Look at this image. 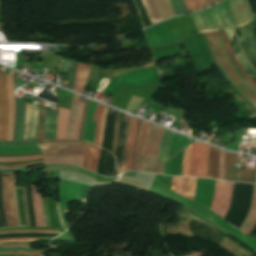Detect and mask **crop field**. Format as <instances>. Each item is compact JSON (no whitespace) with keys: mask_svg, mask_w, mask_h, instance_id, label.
I'll return each instance as SVG.
<instances>
[{"mask_svg":"<svg viewBox=\"0 0 256 256\" xmlns=\"http://www.w3.org/2000/svg\"><path fill=\"white\" fill-rule=\"evenodd\" d=\"M32 204L36 227H46L41 196L35 192L34 185H32Z\"/></svg>","mask_w":256,"mask_h":256,"instance_id":"obj_13","label":"crop field"},{"mask_svg":"<svg viewBox=\"0 0 256 256\" xmlns=\"http://www.w3.org/2000/svg\"><path fill=\"white\" fill-rule=\"evenodd\" d=\"M2 200L8 227H17L11 197V172L2 173Z\"/></svg>","mask_w":256,"mask_h":256,"instance_id":"obj_9","label":"crop field"},{"mask_svg":"<svg viewBox=\"0 0 256 256\" xmlns=\"http://www.w3.org/2000/svg\"><path fill=\"white\" fill-rule=\"evenodd\" d=\"M246 29H247V31H248V34H249V36H250V39H251L252 44H253V46H254V49H255V51H256V40H255V37H254V35H253L252 29H251L250 26L247 27Z\"/></svg>","mask_w":256,"mask_h":256,"instance_id":"obj_39","label":"crop field"},{"mask_svg":"<svg viewBox=\"0 0 256 256\" xmlns=\"http://www.w3.org/2000/svg\"><path fill=\"white\" fill-rule=\"evenodd\" d=\"M15 174H16V172L13 173V179H12L13 206H14L15 216H16V220H17V225H18V227H21L20 220H19V214H18V208H17V201H16Z\"/></svg>","mask_w":256,"mask_h":256,"instance_id":"obj_28","label":"crop field"},{"mask_svg":"<svg viewBox=\"0 0 256 256\" xmlns=\"http://www.w3.org/2000/svg\"><path fill=\"white\" fill-rule=\"evenodd\" d=\"M162 130L163 129L160 127L152 124L150 125L142 168L157 164L159 142Z\"/></svg>","mask_w":256,"mask_h":256,"instance_id":"obj_7","label":"crop field"},{"mask_svg":"<svg viewBox=\"0 0 256 256\" xmlns=\"http://www.w3.org/2000/svg\"><path fill=\"white\" fill-rule=\"evenodd\" d=\"M40 160H42V159H40ZM40 160H34V161H40ZM34 161L14 162V163H0V165H14V164H20V163L34 162Z\"/></svg>","mask_w":256,"mask_h":256,"instance_id":"obj_43","label":"crop field"},{"mask_svg":"<svg viewBox=\"0 0 256 256\" xmlns=\"http://www.w3.org/2000/svg\"><path fill=\"white\" fill-rule=\"evenodd\" d=\"M189 139L183 136H180L176 133L172 134L171 142H170V150H169V157L175 154L177 151L183 149L184 147L188 146Z\"/></svg>","mask_w":256,"mask_h":256,"instance_id":"obj_22","label":"crop field"},{"mask_svg":"<svg viewBox=\"0 0 256 256\" xmlns=\"http://www.w3.org/2000/svg\"><path fill=\"white\" fill-rule=\"evenodd\" d=\"M215 1H217V0H206V3L209 6L210 4L214 3Z\"/></svg>","mask_w":256,"mask_h":256,"instance_id":"obj_52","label":"crop field"},{"mask_svg":"<svg viewBox=\"0 0 256 256\" xmlns=\"http://www.w3.org/2000/svg\"><path fill=\"white\" fill-rule=\"evenodd\" d=\"M87 185H82L78 183L68 182L60 179L59 185V197H60V206H61V213L63 217V221L65 227L67 229L68 225L64 218L63 210L67 207V202L84 199V194L88 190Z\"/></svg>","mask_w":256,"mask_h":256,"instance_id":"obj_5","label":"crop field"},{"mask_svg":"<svg viewBox=\"0 0 256 256\" xmlns=\"http://www.w3.org/2000/svg\"><path fill=\"white\" fill-rule=\"evenodd\" d=\"M103 109H104V106L98 104L96 111L94 113L93 120H97L95 142H94L95 145H97V142H98V135H99V129H100V123H101V118H102V114H103Z\"/></svg>","mask_w":256,"mask_h":256,"instance_id":"obj_25","label":"crop field"},{"mask_svg":"<svg viewBox=\"0 0 256 256\" xmlns=\"http://www.w3.org/2000/svg\"><path fill=\"white\" fill-rule=\"evenodd\" d=\"M96 106H97V104L95 103L94 106H93L92 112H91V114H90L89 120H92L93 113H94V111H95Z\"/></svg>","mask_w":256,"mask_h":256,"instance_id":"obj_49","label":"crop field"},{"mask_svg":"<svg viewBox=\"0 0 256 256\" xmlns=\"http://www.w3.org/2000/svg\"><path fill=\"white\" fill-rule=\"evenodd\" d=\"M0 254H42V253H0Z\"/></svg>","mask_w":256,"mask_h":256,"instance_id":"obj_50","label":"crop field"},{"mask_svg":"<svg viewBox=\"0 0 256 256\" xmlns=\"http://www.w3.org/2000/svg\"><path fill=\"white\" fill-rule=\"evenodd\" d=\"M16 240H38V239H16ZM16 240H4V241H16ZM3 242V241H0Z\"/></svg>","mask_w":256,"mask_h":256,"instance_id":"obj_53","label":"crop field"},{"mask_svg":"<svg viewBox=\"0 0 256 256\" xmlns=\"http://www.w3.org/2000/svg\"><path fill=\"white\" fill-rule=\"evenodd\" d=\"M22 196H23V203H24V209H25L26 225L30 226V219L28 216V207H27V200H26V186L22 187Z\"/></svg>","mask_w":256,"mask_h":256,"instance_id":"obj_33","label":"crop field"},{"mask_svg":"<svg viewBox=\"0 0 256 256\" xmlns=\"http://www.w3.org/2000/svg\"><path fill=\"white\" fill-rule=\"evenodd\" d=\"M163 168H164V162L159 164V165L144 168V169L139 170V171H148V172L163 174Z\"/></svg>","mask_w":256,"mask_h":256,"instance_id":"obj_35","label":"crop field"},{"mask_svg":"<svg viewBox=\"0 0 256 256\" xmlns=\"http://www.w3.org/2000/svg\"><path fill=\"white\" fill-rule=\"evenodd\" d=\"M42 152L39 147H0V154H27Z\"/></svg>","mask_w":256,"mask_h":256,"instance_id":"obj_24","label":"crop field"},{"mask_svg":"<svg viewBox=\"0 0 256 256\" xmlns=\"http://www.w3.org/2000/svg\"><path fill=\"white\" fill-rule=\"evenodd\" d=\"M187 149H185V152H184V158H183V166H182V174L181 176H184V166H185V159H186V154H187Z\"/></svg>","mask_w":256,"mask_h":256,"instance_id":"obj_45","label":"crop field"},{"mask_svg":"<svg viewBox=\"0 0 256 256\" xmlns=\"http://www.w3.org/2000/svg\"><path fill=\"white\" fill-rule=\"evenodd\" d=\"M18 242H34V241H18ZM3 243H15V242H3Z\"/></svg>","mask_w":256,"mask_h":256,"instance_id":"obj_56","label":"crop field"},{"mask_svg":"<svg viewBox=\"0 0 256 256\" xmlns=\"http://www.w3.org/2000/svg\"><path fill=\"white\" fill-rule=\"evenodd\" d=\"M131 120H132V118L130 117L129 125H128V137H127L126 149H125V152H123L122 163H121V168L119 170V173H124L125 172L126 158H127L128 144H129V137H130V132H131Z\"/></svg>","mask_w":256,"mask_h":256,"instance_id":"obj_29","label":"crop field"},{"mask_svg":"<svg viewBox=\"0 0 256 256\" xmlns=\"http://www.w3.org/2000/svg\"><path fill=\"white\" fill-rule=\"evenodd\" d=\"M50 144H84V143H71V142H62V143H43V144H39V146H43V145H50Z\"/></svg>","mask_w":256,"mask_h":256,"instance_id":"obj_42","label":"crop field"},{"mask_svg":"<svg viewBox=\"0 0 256 256\" xmlns=\"http://www.w3.org/2000/svg\"><path fill=\"white\" fill-rule=\"evenodd\" d=\"M149 125H150L149 123H146L143 121L141 123L138 145H137V153L134 159V170L139 169L141 166V160H142V155H143V150H144V146L147 138Z\"/></svg>","mask_w":256,"mask_h":256,"instance_id":"obj_14","label":"crop field"},{"mask_svg":"<svg viewBox=\"0 0 256 256\" xmlns=\"http://www.w3.org/2000/svg\"><path fill=\"white\" fill-rule=\"evenodd\" d=\"M256 229V223L254 224V226L252 227V229L250 230V232L248 233L247 236L250 237V235L253 233V231Z\"/></svg>","mask_w":256,"mask_h":256,"instance_id":"obj_51","label":"crop field"},{"mask_svg":"<svg viewBox=\"0 0 256 256\" xmlns=\"http://www.w3.org/2000/svg\"><path fill=\"white\" fill-rule=\"evenodd\" d=\"M0 248H30V247H0Z\"/></svg>","mask_w":256,"mask_h":256,"instance_id":"obj_55","label":"crop field"},{"mask_svg":"<svg viewBox=\"0 0 256 256\" xmlns=\"http://www.w3.org/2000/svg\"><path fill=\"white\" fill-rule=\"evenodd\" d=\"M107 109L108 108L106 107L105 112L103 114L102 123H101V129H100V135H99V143H98V146H100V147L102 145V139H103V133H104V123H105Z\"/></svg>","mask_w":256,"mask_h":256,"instance_id":"obj_37","label":"crop field"},{"mask_svg":"<svg viewBox=\"0 0 256 256\" xmlns=\"http://www.w3.org/2000/svg\"><path fill=\"white\" fill-rule=\"evenodd\" d=\"M79 99H80L79 96L73 95L71 114H70V120L68 125V134H67V139H70V140H78L80 121H81V116H82V112L85 104V103L79 102Z\"/></svg>","mask_w":256,"mask_h":256,"instance_id":"obj_11","label":"crop field"},{"mask_svg":"<svg viewBox=\"0 0 256 256\" xmlns=\"http://www.w3.org/2000/svg\"><path fill=\"white\" fill-rule=\"evenodd\" d=\"M8 79V88L10 95V120H9V129H8V141H12L13 138V127H14V91H13V71L10 70V75H7Z\"/></svg>","mask_w":256,"mask_h":256,"instance_id":"obj_16","label":"crop field"},{"mask_svg":"<svg viewBox=\"0 0 256 256\" xmlns=\"http://www.w3.org/2000/svg\"><path fill=\"white\" fill-rule=\"evenodd\" d=\"M8 231H56V230H8ZM5 232V231H0Z\"/></svg>","mask_w":256,"mask_h":256,"instance_id":"obj_47","label":"crop field"},{"mask_svg":"<svg viewBox=\"0 0 256 256\" xmlns=\"http://www.w3.org/2000/svg\"><path fill=\"white\" fill-rule=\"evenodd\" d=\"M56 205H57V211H58V215H59V218H60V221H61V225L65 231V227H64V224H63V221H62V217H61V213H60V209H59V202H56Z\"/></svg>","mask_w":256,"mask_h":256,"instance_id":"obj_41","label":"crop field"},{"mask_svg":"<svg viewBox=\"0 0 256 256\" xmlns=\"http://www.w3.org/2000/svg\"><path fill=\"white\" fill-rule=\"evenodd\" d=\"M10 246H29V245H10Z\"/></svg>","mask_w":256,"mask_h":256,"instance_id":"obj_58","label":"crop field"},{"mask_svg":"<svg viewBox=\"0 0 256 256\" xmlns=\"http://www.w3.org/2000/svg\"><path fill=\"white\" fill-rule=\"evenodd\" d=\"M9 95L6 73H0V141H7Z\"/></svg>","mask_w":256,"mask_h":256,"instance_id":"obj_8","label":"crop field"},{"mask_svg":"<svg viewBox=\"0 0 256 256\" xmlns=\"http://www.w3.org/2000/svg\"><path fill=\"white\" fill-rule=\"evenodd\" d=\"M256 171H253L252 183H255Z\"/></svg>","mask_w":256,"mask_h":256,"instance_id":"obj_54","label":"crop field"},{"mask_svg":"<svg viewBox=\"0 0 256 256\" xmlns=\"http://www.w3.org/2000/svg\"><path fill=\"white\" fill-rule=\"evenodd\" d=\"M10 233H57L59 232H9V233H0V234H10Z\"/></svg>","mask_w":256,"mask_h":256,"instance_id":"obj_44","label":"crop field"},{"mask_svg":"<svg viewBox=\"0 0 256 256\" xmlns=\"http://www.w3.org/2000/svg\"><path fill=\"white\" fill-rule=\"evenodd\" d=\"M69 110L62 109L58 107V124L56 139L63 140L66 139V128L69 119Z\"/></svg>","mask_w":256,"mask_h":256,"instance_id":"obj_18","label":"crop field"},{"mask_svg":"<svg viewBox=\"0 0 256 256\" xmlns=\"http://www.w3.org/2000/svg\"><path fill=\"white\" fill-rule=\"evenodd\" d=\"M208 151L209 146L198 142L189 146L185 176L206 178Z\"/></svg>","mask_w":256,"mask_h":256,"instance_id":"obj_4","label":"crop field"},{"mask_svg":"<svg viewBox=\"0 0 256 256\" xmlns=\"http://www.w3.org/2000/svg\"><path fill=\"white\" fill-rule=\"evenodd\" d=\"M93 104H94L93 102H90V106H89L88 113L85 120V129H84V135H83V140H88L91 143H93V140H94L96 121H88V118H89V114L91 112Z\"/></svg>","mask_w":256,"mask_h":256,"instance_id":"obj_23","label":"crop field"},{"mask_svg":"<svg viewBox=\"0 0 256 256\" xmlns=\"http://www.w3.org/2000/svg\"><path fill=\"white\" fill-rule=\"evenodd\" d=\"M252 171H239V181L251 183Z\"/></svg>","mask_w":256,"mask_h":256,"instance_id":"obj_34","label":"crop field"},{"mask_svg":"<svg viewBox=\"0 0 256 256\" xmlns=\"http://www.w3.org/2000/svg\"><path fill=\"white\" fill-rule=\"evenodd\" d=\"M136 122H137V120L133 118V120H132V132H131L130 145H129V153H128V158H127L126 172L130 170V166H131L132 148H133V142H134Z\"/></svg>","mask_w":256,"mask_h":256,"instance_id":"obj_26","label":"crop field"},{"mask_svg":"<svg viewBox=\"0 0 256 256\" xmlns=\"http://www.w3.org/2000/svg\"><path fill=\"white\" fill-rule=\"evenodd\" d=\"M197 178L173 177L171 189L189 199L194 198Z\"/></svg>","mask_w":256,"mask_h":256,"instance_id":"obj_12","label":"crop field"},{"mask_svg":"<svg viewBox=\"0 0 256 256\" xmlns=\"http://www.w3.org/2000/svg\"><path fill=\"white\" fill-rule=\"evenodd\" d=\"M31 155H42V153H39V154H27V155H0V157H8V156H31Z\"/></svg>","mask_w":256,"mask_h":256,"instance_id":"obj_46","label":"crop field"},{"mask_svg":"<svg viewBox=\"0 0 256 256\" xmlns=\"http://www.w3.org/2000/svg\"><path fill=\"white\" fill-rule=\"evenodd\" d=\"M35 163H43L41 162H35ZM35 163H31V164H35ZM26 165H30V164H21V165H14V166H0V168H15V167H21V166H26Z\"/></svg>","mask_w":256,"mask_h":256,"instance_id":"obj_40","label":"crop field"},{"mask_svg":"<svg viewBox=\"0 0 256 256\" xmlns=\"http://www.w3.org/2000/svg\"><path fill=\"white\" fill-rule=\"evenodd\" d=\"M236 158L237 155L225 152V180L237 181L238 171L234 170Z\"/></svg>","mask_w":256,"mask_h":256,"instance_id":"obj_20","label":"crop field"},{"mask_svg":"<svg viewBox=\"0 0 256 256\" xmlns=\"http://www.w3.org/2000/svg\"><path fill=\"white\" fill-rule=\"evenodd\" d=\"M188 11H194L206 7L204 0H184Z\"/></svg>","mask_w":256,"mask_h":256,"instance_id":"obj_27","label":"crop field"},{"mask_svg":"<svg viewBox=\"0 0 256 256\" xmlns=\"http://www.w3.org/2000/svg\"><path fill=\"white\" fill-rule=\"evenodd\" d=\"M90 67L83 65V64H77L76 73H75V79H74V86L73 90L77 92H83L87 78L90 72Z\"/></svg>","mask_w":256,"mask_h":256,"instance_id":"obj_15","label":"crop field"},{"mask_svg":"<svg viewBox=\"0 0 256 256\" xmlns=\"http://www.w3.org/2000/svg\"><path fill=\"white\" fill-rule=\"evenodd\" d=\"M23 238H45V239H52V238H46V237H23ZM4 239H16V238H1L0 240Z\"/></svg>","mask_w":256,"mask_h":256,"instance_id":"obj_48","label":"crop field"},{"mask_svg":"<svg viewBox=\"0 0 256 256\" xmlns=\"http://www.w3.org/2000/svg\"><path fill=\"white\" fill-rule=\"evenodd\" d=\"M84 150H49L43 151V154H83Z\"/></svg>","mask_w":256,"mask_h":256,"instance_id":"obj_32","label":"crop field"},{"mask_svg":"<svg viewBox=\"0 0 256 256\" xmlns=\"http://www.w3.org/2000/svg\"><path fill=\"white\" fill-rule=\"evenodd\" d=\"M155 1L157 3L163 20L174 15L168 0ZM142 3L152 24L162 20L154 0H142Z\"/></svg>","mask_w":256,"mask_h":256,"instance_id":"obj_10","label":"crop field"},{"mask_svg":"<svg viewBox=\"0 0 256 256\" xmlns=\"http://www.w3.org/2000/svg\"><path fill=\"white\" fill-rule=\"evenodd\" d=\"M16 244H29V243H16ZM0 245H7V244H0Z\"/></svg>","mask_w":256,"mask_h":256,"instance_id":"obj_57","label":"crop field"},{"mask_svg":"<svg viewBox=\"0 0 256 256\" xmlns=\"http://www.w3.org/2000/svg\"><path fill=\"white\" fill-rule=\"evenodd\" d=\"M224 180V152L220 151V158H219V178Z\"/></svg>","mask_w":256,"mask_h":256,"instance_id":"obj_36","label":"crop field"},{"mask_svg":"<svg viewBox=\"0 0 256 256\" xmlns=\"http://www.w3.org/2000/svg\"><path fill=\"white\" fill-rule=\"evenodd\" d=\"M255 219H256V185H254L253 199H252L249 213L245 221L243 222V224L240 226L238 230L247 235Z\"/></svg>","mask_w":256,"mask_h":256,"instance_id":"obj_19","label":"crop field"},{"mask_svg":"<svg viewBox=\"0 0 256 256\" xmlns=\"http://www.w3.org/2000/svg\"><path fill=\"white\" fill-rule=\"evenodd\" d=\"M17 200H18V207H19L21 225H22V227H24L25 222H24V210H23L22 196H21V187L17 188Z\"/></svg>","mask_w":256,"mask_h":256,"instance_id":"obj_31","label":"crop field"},{"mask_svg":"<svg viewBox=\"0 0 256 256\" xmlns=\"http://www.w3.org/2000/svg\"><path fill=\"white\" fill-rule=\"evenodd\" d=\"M218 63L234 84L256 104V83L235 58L224 31L207 33Z\"/></svg>","mask_w":256,"mask_h":256,"instance_id":"obj_2","label":"crop field"},{"mask_svg":"<svg viewBox=\"0 0 256 256\" xmlns=\"http://www.w3.org/2000/svg\"><path fill=\"white\" fill-rule=\"evenodd\" d=\"M183 151L165 161L164 174L180 176Z\"/></svg>","mask_w":256,"mask_h":256,"instance_id":"obj_17","label":"crop field"},{"mask_svg":"<svg viewBox=\"0 0 256 256\" xmlns=\"http://www.w3.org/2000/svg\"><path fill=\"white\" fill-rule=\"evenodd\" d=\"M101 149L90 145L86 142V148L83 156L76 155H43V156H32V157H15V158H0V162H11V161H22V160H33V159H44V163H72L81 167L82 158L83 164L82 167L95 171L97 168V161L100 156Z\"/></svg>","mask_w":256,"mask_h":256,"instance_id":"obj_3","label":"crop field"},{"mask_svg":"<svg viewBox=\"0 0 256 256\" xmlns=\"http://www.w3.org/2000/svg\"><path fill=\"white\" fill-rule=\"evenodd\" d=\"M218 154H219L218 150L212 147L210 148L209 157H208L207 178L217 179L218 177Z\"/></svg>","mask_w":256,"mask_h":256,"instance_id":"obj_21","label":"crop field"},{"mask_svg":"<svg viewBox=\"0 0 256 256\" xmlns=\"http://www.w3.org/2000/svg\"><path fill=\"white\" fill-rule=\"evenodd\" d=\"M84 145H50L41 147L42 150L49 149H83Z\"/></svg>","mask_w":256,"mask_h":256,"instance_id":"obj_30","label":"crop field"},{"mask_svg":"<svg viewBox=\"0 0 256 256\" xmlns=\"http://www.w3.org/2000/svg\"><path fill=\"white\" fill-rule=\"evenodd\" d=\"M233 183L217 180L211 210L224 218L230 204Z\"/></svg>","mask_w":256,"mask_h":256,"instance_id":"obj_6","label":"crop field"},{"mask_svg":"<svg viewBox=\"0 0 256 256\" xmlns=\"http://www.w3.org/2000/svg\"><path fill=\"white\" fill-rule=\"evenodd\" d=\"M191 15L199 33L239 27L250 22L254 16L248 0H223Z\"/></svg>","mask_w":256,"mask_h":256,"instance_id":"obj_1","label":"crop field"},{"mask_svg":"<svg viewBox=\"0 0 256 256\" xmlns=\"http://www.w3.org/2000/svg\"><path fill=\"white\" fill-rule=\"evenodd\" d=\"M116 118H117V116H116ZM118 125H119V122H116V120H115L114 141H113V147H112V153H113V155H114V153H115L116 140H117V133H118Z\"/></svg>","mask_w":256,"mask_h":256,"instance_id":"obj_38","label":"crop field"}]
</instances>
